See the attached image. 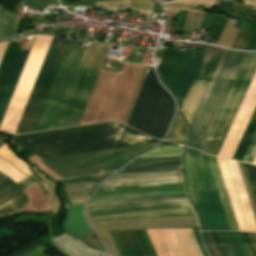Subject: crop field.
Instances as JSON below:
<instances>
[{"label":"crop field","mask_w":256,"mask_h":256,"mask_svg":"<svg viewBox=\"0 0 256 256\" xmlns=\"http://www.w3.org/2000/svg\"><path fill=\"white\" fill-rule=\"evenodd\" d=\"M35 184L29 177L17 184L9 178L0 182V218L26 206L27 197L22 191Z\"/></svg>","instance_id":"crop-field-13"},{"label":"crop field","mask_w":256,"mask_h":256,"mask_svg":"<svg viewBox=\"0 0 256 256\" xmlns=\"http://www.w3.org/2000/svg\"><path fill=\"white\" fill-rule=\"evenodd\" d=\"M235 232H236V235L238 237L239 243H240V245H241L245 255L246 256H251V254H250V252H249V250H248V248H247V246H246V244H245V242L243 240L242 233L238 232V231H235Z\"/></svg>","instance_id":"crop-field-34"},{"label":"crop field","mask_w":256,"mask_h":256,"mask_svg":"<svg viewBox=\"0 0 256 256\" xmlns=\"http://www.w3.org/2000/svg\"><path fill=\"white\" fill-rule=\"evenodd\" d=\"M186 197L184 191L93 196L90 202Z\"/></svg>","instance_id":"crop-field-18"},{"label":"crop field","mask_w":256,"mask_h":256,"mask_svg":"<svg viewBox=\"0 0 256 256\" xmlns=\"http://www.w3.org/2000/svg\"><path fill=\"white\" fill-rule=\"evenodd\" d=\"M126 235H127L128 239H129V241H130V243L133 247L135 255L136 256H143L142 251H141L140 246L137 242V239L135 237L134 232L133 231H126Z\"/></svg>","instance_id":"crop-field-28"},{"label":"crop field","mask_w":256,"mask_h":256,"mask_svg":"<svg viewBox=\"0 0 256 256\" xmlns=\"http://www.w3.org/2000/svg\"><path fill=\"white\" fill-rule=\"evenodd\" d=\"M3 144H4V143H1V142H0V147H1Z\"/></svg>","instance_id":"crop-field-46"},{"label":"crop field","mask_w":256,"mask_h":256,"mask_svg":"<svg viewBox=\"0 0 256 256\" xmlns=\"http://www.w3.org/2000/svg\"><path fill=\"white\" fill-rule=\"evenodd\" d=\"M111 45L93 43L60 127L78 125Z\"/></svg>","instance_id":"crop-field-11"},{"label":"crop field","mask_w":256,"mask_h":256,"mask_svg":"<svg viewBox=\"0 0 256 256\" xmlns=\"http://www.w3.org/2000/svg\"><path fill=\"white\" fill-rule=\"evenodd\" d=\"M173 111L171 96L159 85L153 69L149 67L125 124L161 139Z\"/></svg>","instance_id":"crop-field-5"},{"label":"crop field","mask_w":256,"mask_h":256,"mask_svg":"<svg viewBox=\"0 0 256 256\" xmlns=\"http://www.w3.org/2000/svg\"><path fill=\"white\" fill-rule=\"evenodd\" d=\"M233 2H236L238 4L244 5V0H232Z\"/></svg>","instance_id":"crop-field-44"},{"label":"crop field","mask_w":256,"mask_h":256,"mask_svg":"<svg viewBox=\"0 0 256 256\" xmlns=\"http://www.w3.org/2000/svg\"><path fill=\"white\" fill-rule=\"evenodd\" d=\"M181 151L182 149L179 146L156 147L141 157L181 155Z\"/></svg>","instance_id":"crop-field-24"},{"label":"crop field","mask_w":256,"mask_h":256,"mask_svg":"<svg viewBox=\"0 0 256 256\" xmlns=\"http://www.w3.org/2000/svg\"><path fill=\"white\" fill-rule=\"evenodd\" d=\"M187 50L188 49H186L185 52H182L167 48L163 55L157 71L164 85L168 89H170L174 81Z\"/></svg>","instance_id":"crop-field-15"},{"label":"crop field","mask_w":256,"mask_h":256,"mask_svg":"<svg viewBox=\"0 0 256 256\" xmlns=\"http://www.w3.org/2000/svg\"><path fill=\"white\" fill-rule=\"evenodd\" d=\"M224 51L225 50L223 49L211 46L207 47L198 66V69L193 77V80L188 88V91L183 99V102L176 114L172 128L166 137V140H169L171 133H173L178 135V137L172 134L170 140L175 142L177 137L176 143L183 144L195 118V112H197L199 109V106L211 82L210 79H212ZM244 54L245 53L242 52L225 51L213 81L208 89V92L183 145L201 149ZM196 76L210 79L199 77L196 78ZM182 108L195 112L185 111L182 110ZM179 111L182 112L190 127L185 124Z\"/></svg>","instance_id":"crop-field-1"},{"label":"crop field","mask_w":256,"mask_h":256,"mask_svg":"<svg viewBox=\"0 0 256 256\" xmlns=\"http://www.w3.org/2000/svg\"><path fill=\"white\" fill-rule=\"evenodd\" d=\"M245 158H247L246 162L251 164H253L256 159V134L253 138V141L248 149Z\"/></svg>","instance_id":"crop-field-29"},{"label":"crop field","mask_w":256,"mask_h":256,"mask_svg":"<svg viewBox=\"0 0 256 256\" xmlns=\"http://www.w3.org/2000/svg\"><path fill=\"white\" fill-rule=\"evenodd\" d=\"M68 41L52 38L15 134L33 130Z\"/></svg>","instance_id":"crop-field-9"},{"label":"crop field","mask_w":256,"mask_h":256,"mask_svg":"<svg viewBox=\"0 0 256 256\" xmlns=\"http://www.w3.org/2000/svg\"><path fill=\"white\" fill-rule=\"evenodd\" d=\"M204 233H205L207 242H208V244H209V246H210V248H211V250H212L214 256H219V254H218V252H217V250H216V248H215V245H214V243H213V240H212V238H211L210 233H209V232H204Z\"/></svg>","instance_id":"crop-field-35"},{"label":"crop field","mask_w":256,"mask_h":256,"mask_svg":"<svg viewBox=\"0 0 256 256\" xmlns=\"http://www.w3.org/2000/svg\"><path fill=\"white\" fill-rule=\"evenodd\" d=\"M71 41L35 131L59 127L90 46ZM80 41L77 46L80 45ZM92 47V46H91Z\"/></svg>","instance_id":"crop-field-6"},{"label":"crop field","mask_w":256,"mask_h":256,"mask_svg":"<svg viewBox=\"0 0 256 256\" xmlns=\"http://www.w3.org/2000/svg\"><path fill=\"white\" fill-rule=\"evenodd\" d=\"M245 164L254 194H255V198H256V167L250 164Z\"/></svg>","instance_id":"crop-field-27"},{"label":"crop field","mask_w":256,"mask_h":256,"mask_svg":"<svg viewBox=\"0 0 256 256\" xmlns=\"http://www.w3.org/2000/svg\"><path fill=\"white\" fill-rule=\"evenodd\" d=\"M206 47L207 46L204 45L201 46L198 57L193 56L195 50H188L170 89V91L175 95L176 99H183Z\"/></svg>","instance_id":"crop-field-14"},{"label":"crop field","mask_w":256,"mask_h":256,"mask_svg":"<svg viewBox=\"0 0 256 256\" xmlns=\"http://www.w3.org/2000/svg\"><path fill=\"white\" fill-rule=\"evenodd\" d=\"M185 173L189 196L203 230H230L207 156L186 148Z\"/></svg>","instance_id":"crop-field-4"},{"label":"crop field","mask_w":256,"mask_h":256,"mask_svg":"<svg viewBox=\"0 0 256 256\" xmlns=\"http://www.w3.org/2000/svg\"><path fill=\"white\" fill-rule=\"evenodd\" d=\"M246 15L256 20V11L255 10L248 8Z\"/></svg>","instance_id":"crop-field-41"},{"label":"crop field","mask_w":256,"mask_h":256,"mask_svg":"<svg viewBox=\"0 0 256 256\" xmlns=\"http://www.w3.org/2000/svg\"><path fill=\"white\" fill-rule=\"evenodd\" d=\"M113 172H115V171H113ZM113 172L96 174V175H88V176H83V177H79V178H75V179L59 180L57 182L62 183V186L65 187L67 185H72V184L101 181L104 177L110 175Z\"/></svg>","instance_id":"crop-field-23"},{"label":"crop field","mask_w":256,"mask_h":256,"mask_svg":"<svg viewBox=\"0 0 256 256\" xmlns=\"http://www.w3.org/2000/svg\"><path fill=\"white\" fill-rule=\"evenodd\" d=\"M181 170V156L138 158L117 173ZM183 182L181 171L114 174L100 187Z\"/></svg>","instance_id":"crop-field-8"},{"label":"crop field","mask_w":256,"mask_h":256,"mask_svg":"<svg viewBox=\"0 0 256 256\" xmlns=\"http://www.w3.org/2000/svg\"><path fill=\"white\" fill-rule=\"evenodd\" d=\"M217 233H218V235H219V238H220V240H221V242H222V244H223V246H224V248H225V250H226L228 256H232V254H231V252H230V249H229V247H228V245H227V243H226V241H225V238H224L222 232H217Z\"/></svg>","instance_id":"crop-field-39"},{"label":"crop field","mask_w":256,"mask_h":256,"mask_svg":"<svg viewBox=\"0 0 256 256\" xmlns=\"http://www.w3.org/2000/svg\"><path fill=\"white\" fill-rule=\"evenodd\" d=\"M245 5L246 6L250 5V6L256 7V0H245Z\"/></svg>","instance_id":"crop-field-42"},{"label":"crop field","mask_w":256,"mask_h":256,"mask_svg":"<svg viewBox=\"0 0 256 256\" xmlns=\"http://www.w3.org/2000/svg\"><path fill=\"white\" fill-rule=\"evenodd\" d=\"M111 188H117V191L104 192V189H111ZM175 190H184L183 183L98 188L95 195L175 191Z\"/></svg>","instance_id":"crop-field-17"},{"label":"crop field","mask_w":256,"mask_h":256,"mask_svg":"<svg viewBox=\"0 0 256 256\" xmlns=\"http://www.w3.org/2000/svg\"><path fill=\"white\" fill-rule=\"evenodd\" d=\"M123 256H132L121 232L113 233Z\"/></svg>","instance_id":"crop-field-26"},{"label":"crop field","mask_w":256,"mask_h":256,"mask_svg":"<svg viewBox=\"0 0 256 256\" xmlns=\"http://www.w3.org/2000/svg\"><path fill=\"white\" fill-rule=\"evenodd\" d=\"M193 233H194V235L196 237V240L198 242V245L200 247V250H201L203 256H208L206 251H205V249H204V247H203V245H202V243H201V241H200L199 230H193Z\"/></svg>","instance_id":"crop-field-36"},{"label":"crop field","mask_w":256,"mask_h":256,"mask_svg":"<svg viewBox=\"0 0 256 256\" xmlns=\"http://www.w3.org/2000/svg\"><path fill=\"white\" fill-rule=\"evenodd\" d=\"M231 48L256 50V36L239 30Z\"/></svg>","instance_id":"crop-field-22"},{"label":"crop field","mask_w":256,"mask_h":256,"mask_svg":"<svg viewBox=\"0 0 256 256\" xmlns=\"http://www.w3.org/2000/svg\"><path fill=\"white\" fill-rule=\"evenodd\" d=\"M134 232H135V234H136V236H137V238H138V241H139V243H140V246H141V249H142L144 255H145V256H150V254H149V252H148V250H147V248H146V245H145V243H144V240H143V238H142V235H141L140 231H134Z\"/></svg>","instance_id":"crop-field-33"},{"label":"crop field","mask_w":256,"mask_h":256,"mask_svg":"<svg viewBox=\"0 0 256 256\" xmlns=\"http://www.w3.org/2000/svg\"><path fill=\"white\" fill-rule=\"evenodd\" d=\"M220 256H227L216 232H210Z\"/></svg>","instance_id":"crop-field-31"},{"label":"crop field","mask_w":256,"mask_h":256,"mask_svg":"<svg viewBox=\"0 0 256 256\" xmlns=\"http://www.w3.org/2000/svg\"><path fill=\"white\" fill-rule=\"evenodd\" d=\"M256 70V53H246L212 125L202 151L217 155Z\"/></svg>","instance_id":"crop-field-7"},{"label":"crop field","mask_w":256,"mask_h":256,"mask_svg":"<svg viewBox=\"0 0 256 256\" xmlns=\"http://www.w3.org/2000/svg\"><path fill=\"white\" fill-rule=\"evenodd\" d=\"M248 234V236H249V238H250V240H251V243H252V245H253V247H254V249H255V251H256V243H255V241H254V239H253V237H252V234L251 233H247Z\"/></svg>","instance_id":"crop-field-43"},{"label":"crop field","mask_w":256,"mask_h":256,"mask_svg":"<svg viewBox=\"0 0 256 256\" xmlns=\"http://www.w3.org/2000/svg\"><path fill=\"white\" fill-rule=\"evenodd\" d=\"M167 1H169V0H167Z\"/></svg>","instance_id":"crop-field-47"},{"label":"crop field","mask_w":256,"mask_h":256,"mask_svg":"<svg viewBox=\"0 0 256 256\" xmlns=\"http://www.w3.org/2000/svg\"><path fill=\"white\" fill-rule=\"evenodd\" d=\"M242 233H243V235H244V238H245V240H246V243H247V245H248V247H249V249H250V252H251L252 256H256V253H255V251H254V249H253V247H252V245H251V243H250V240H249L247 234L244 233V232H242Z\"/></svg>","instance_id":"crop-field-40"},{"label":"crop field","mask_w":256,"mask_h":256,"mask_svg":"<svg viewBox=\"0 0 256 256\" xmlns=\"http://www.w3.org/2000/svg\"><path fill=\"white\" fill-rule=\"evenodd\" d=\"M128 0L100 1L96 2L95 7L104 9H114L119 6H127Z\"/></svg>","instance_id":"crop-field-25"},{"label":"crop field","mask_w":256,"mask_h":256,"mask_svg":"<svg viewBox=\"0 0 256 256\" xmlns=\"http://www.w3.org/2000/svg\"><path fill=\"white\" fill-rule=\"evenodd\" d=\"M184 12L185 11L179 10L178 16H177V22H176V25H175V29H178V30L181 29Z\"/></svg>","instance_id":"crop-field-37"},{"label":"crop field","mask_w":256,"mask_h":256,"mask_svg":"<svg viewBox=\"0 0 256 256\" xmlns=\"http://www.w3.org/2000/svg\"><path fill=\"white\" fill-rule=\"evenodd\" d=\"M32 177H34L38 182L41 181L38 177L31 175Z\"/></svg>","instance_id":"crop-field-45"},{"label":"crop field","mask_w":256,"mask_h":256,"mask_svg":"<svg viewBox=\"0 0 256 256\" xmlns=\"http://www.w3.org/2000/svg\"><path fill=\"white\" fill-rule=\"evenodd\" d=\"M117 122L18 136L10 143L23 144L40 159L159 142Z\"/></svg>","instance_id":"crop-field-3"},{"label":"crop field","mask_w":256,"mask_h":256,"mask_svg":"<svg viewBox=\"0 0 256 256\" xmlns=\"http://www.w3.org/2000/svg\"><path fill=\"white\" fill-rule=\"evenodd\" d=\"M20 41L21 40H15V41L9 42L6 52L4 54L3 60L1 62V65H0V101H1V98L5 91V88L7 86V83L9 81V78L11 76V73L13 71V68L15 66V63L17 61V58L19 56V53L21 51L19 49ZM29 52L30 51L22 50L20 53V56L18 58L16 66L14 68V71L12 73V76L10 78L8 86L6 88V91L4 93L2 101L0 103V123H1L3 115L7 108L8 102L10 100L11 94L14 90V87H15L16 82L19 78V75L22 71V68L25 64V61L27 59Z\"/></svg>","instance_id":"crop-field-12"},{"label":"crop field","mask_w":256,"mask_h":256,"mask_svg":"<svg viewBox=\"0 0 256 256\" xmlns=\"http://www.w3.org/2000/svg\"><path fill=\"white\" fill-rule=\"evenodd\" d=\"M215 5H220V6L226 8V9H229V10L235 12V13L237 12V10L239 8L238 5L230 3L228 1H224V0H216L214 6Z\"/></svg>","instance_id":"crop-field-30"},{"label":"crop field","mask_w":256,"mask_h":256,"mask_svg":"<svg viewBox=\"0 0 256 256\" xmlns=\"http://www.w3.org/2000/svg\"><path fill=\"white\" fill-rule=\"evenodd\" d=\"M51 38L50 36L36 35L31 52L1 123L0 130L15 133Z\"/></svg>","instance_id":"crop-field-10"},{"label":"crop field","mask_w":256,"mask_h":256,"mask_svg":"<svg viewBox=\"0 0 256 256\" xmlns=\"http://www.w3.org/2000/svg\"><path fill=\"white\" fill-rule=\"evenodd\" d=\"M212 16L213 15L205 14L200 28L207 29L208 26H209V23L211 21Z\"/></svg>","instance_id":"crop-field-38"},{"label":"crop field","mask_w":256,"mask_h":256,"mask_svg":"<svg viewBox=\"0 0 256 256\" xmlns=\"http://www.w3.org/2000/svg\"><path fill=\"white\" fill-rule=\"evenodd\" d=\"M40 245H41V243L37 240L34 243L27 246L26 248L22 249L21 251L15 253V254H12L10 256H22V255L26 254L27 252L31 251L32 249L40 246Z\"/></svg>","instance_id":"crop-field-32"},{"label":"crop field","mask_w":256,"mask_h":256,"mask_svg":"<svg viewBox=\"0 0 256 256\" xmlns=\"http://www.w3.org/2000/svg\"><path fill=\"white\" fill-rule=\"evenodd\" d=\"M83 205L84 203L72 205L63 221L65 232L75 238L91 232L82 213Z\"/></svg>","instance_id":"crop-field-16"},{"label":"crop field","mask_w":256,"mask_h":256,"mask_svg":"<svg viewBox=\"0 0 256 256\" xmlns=\"http://www.w3.org/2000/svg\"><path fill=\"white\" fill-rule=\"evenodd\" d=\"M255 131H256V111H255V113H254V115L251 119V122H250V124H249V126H248V128L245 132V135H244V137H243V139H242V141L239 145V148H238V150H237L233 159L240 160V161L243 160L245 152H246V150H247V148H248V146L251 142V139H252Z\"/></svg>","instance_id":"crop-field-21"},{"label":"crop field","mask_w":256,"mask_h":256,"mask_svg":"<svg viewBox=\"0 0 256 256\" xmlns=\"http://www.w3.org/2000/svg\"><path fill=\"white\" fill-rule=\"evenodd\" d=\"M21 20L10 19L9 12L0 5V37L18 32Z\"/></svg>","instance_id":"crop-field-20"},{"label":"crop field","mask_w":256,"mask_h":256,"mask_svg":"<svg viewBox=\"0 0 256 256\" xmlns=\"http://www.w3.org/2000/svg\"><path fill=\"white\" fill-rule=\"evenodd\" d=\"M99 182L65 187V193L71 204L86 202Z\"/></svg>","instance_id":"crop-field-19"},{"label":"crop field","mask_w":256,"mask_h":256,"mask_svg":"<svg viewBox=\"0 0 256 256\" xmlns=\"http://www.w3.org/2000/svg\"><path fill=\"white\" fill-rule=\"evenodd\" d=\"M87 216L114 256L108 231L198 226L187 199L89 204Z\"/></svg>","instance_id":"crop-field-2"}]
</instances>
